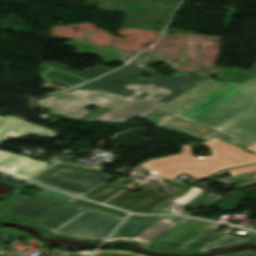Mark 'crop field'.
Listing matches in <instances>:
<instances>
[{
  "mask_svg": "<svg viewBox=\"0 0 256 256\" xmlns=\"http://www.w3.org/2000/svg\"><path fill=\"white\" fill-rule=\"evenodd\" d=\"M203 145L210 148L211 156L174 160L146 170L168 179H175L184 173L199 181L219 170L256 163V154L247 153L217 137Z\"/></svg>",
  "mask_w": 256,
  "mask_h": 256,
  "instance_id": "crop-field-3",
  "label": "crop field"
},
{
  "mask_svg": "<svg viewBox=\"0 0 256 256\" xmlns=\"http://www.w3.org/2000/svg\"><path fill=\"white\" fill-rule=\"evenodd\" d=\"M159 109L219 130L245 148L256 141V78L241 84L209 78Z\"/></svg>",
  "mask_w": 256,
  "mask_h": 256,
  "instance_id": "crop-field-2",
  "label": "crop field"
},
{
  "mask_svg": "<svg viewBox=\"0 0 256 256\" xmlns=\"http://www.w3.org/2000/svg\"><path fill=\"white\" fill-rule=\"evenodd\" d=\"M186 220H188V219L187 218H182V217H175L172 220H170L169 222H167L166 224L162 225L161 227H159L158 229L153 231L151 234H149L148 236H146L142 240L138 241V243L142 247H146L149 244H151L152 242H154L155 240H157L158 238H160L161 236H163L164 234H166L167 232L171 231L172 229H174L175 227H177L178 225H180L181 223L186 221Z\"/></svg>",
  "mask_w": 256,
  "mask_h": 256,
  "instance_id": "crop-field-13",
  "label": "crop field"
},
{
  "mask_svg": "<svg viewBox=\"0 0 256 256\" xmlns=\"http://www.w3.org/2000/svg\"><path fill=\"white\" fill-rule=\"evenodd\" d=\"M247 149L255 151L256 152V142L254 144H252L251 146H249Z\"/></svg>",
  "mask_w": 256,
  "mask_h": 256,
  "instance_id": "crop-field-28",
  "label": "crop field"
},
{
  "mask_svg": "<svg viewBox=\"0 0 256 256\" xmlns=\"http://www.w3.org/2000/svg\"><path fill=\"white\" fill-rule=\"evenodd\" d=\"M88 167L57 165L49 168L32 181L77 196H84L112 176Z\"/></svg>",
  "mask_w": 256,
  "mask_h": 256,
  "instance_id": "crop-field-6",
  "label": "crop field"
},
{
  "mask_svg": "<svg viewBox=\"0 0 256 256\" xmlns=\"http://www.w3.org/2000/svg\"><path fill=\"white\" fill-rule=\"evenodd\" d=\"M36 195L48 196V197H52V198H56V199H62V200H67V201H71V202L77 200V199H74V198H71V197H68V196H65V195H62V194L50 191V190H46V189L40 191Z\"/></svg>",
  "mask_w": 256,
  "mask_h": 256,
  "instance_id": "crop-field-22",
  "label": "crop field"
},
{
  "mask_svg": "<svg viewBox=\"0 0 256 256\" xmlns=\"http://www.w3.org/2000/svg\"><path fill=\"white\" fill-rule=\"evenodd\" d=\"M22 196L21 195H14L8 202H5V203H2L0 204V215L4 216V217H7L9 219H12V220H16V221H19V222H22V223H27V224H32V225H37L39 224L40 222H36V221H33V220H29V219H26V218H22V217H19V216H15V215H12L10 213H8L6 211V207L14 202H16L17 200H19ZM25 197V196H24ZM31 198H38V197H31ZM40 199H48V198H40ZM49 200H53V199H49ZM58 201V200H57Z\"/></svg>",
  "mask_w": 256,
  "mask_h": 256,
  "instance_id": "crop-field-16",
  "label": "crop field"
},
{
  "mask_svg": "<svg viewBox=\"0 0 256 256\" xmlns=\"http://www.w3.org/2000/svg\"><path fill=\"white\" fill-rule=\"evenodd\" d=\"M144 118H147V119H149L157 124H160L162 126H165L167 128L183 131L185 133L191 134L193 136L199 137L204 140L216 135L226 142H230L232 144H237V147L239 146L237 142L233 141L232 139H230L214 130L202 128L195 124L168 116L158 110L152 112L151 114H149L148 116H146Z\"/></svg>",
  "mask_w": 256,
  "mask_h": 256,
  "instance_id": "crop-field-10",
  "label": "crop field"
},
{
  "mask_svg": "<svg viewBox=\"0 0 256 256\" xmlns=\"http://www.w3.org/2000/svg\"><path fill=\"white\" fill-rule=\"evenodd\" d=\"M74 203H76L78 205L90 207V208H98V209H101V210H104V211H107V212H110V213H113V214H116V215H119V216H122V217L125 216L124 212L113 210V209H109V208H105L103 206H99V205H96V204H93V203H89V202H86V201H83V200H80V199H78Z\"/></svg>",
  "mask_w": 256,
  "mask_h": 256,
  "instance_id": "crop-field-21",
  "label": "crop field"
},
{
  "mask_svg": "<svg viewBox=\"0 0 256 256\" xmlns=\"http://www.w3.org/2000/svg\"><path fill=\"white\" fill-rule=\"evenodd\" d=\"M29 134L44 137L54 136L53 131L36 126L22 119L13 116L0 118V143L9 138ZM47 166H49V163L44 161L32 160L27 156L0 152V171L24 179L31 178Z\"/></svg>",
  "mask_w": 256,
  "mask_h": 256,
  "instance_id": "crop-field-5",
  "label": "crop field"
},
{
  "mask_svg": "<svg viewBox=\"0 0 256 256\" xmlns=\"http://www.w3.org/2000/svg\"><path fill=\"white\" fill-rule=\"evenodd\" d=\"M252 171H256V165L241 167V168H237V169H233V170H229V171L220 172L217 174L230 173L232 175H236V174L247 173V172H252ZM217 174H215V175H217Z\"/></svg>",
  "mask_w": 256,
  "mask_h": 256,
  "instance_id": "crop-field-23",
  "label": "crop field"
},
{
  "mask_svg": "<svg viewBox=\"0 0 256 256\" xmlns=\"http://www.w3.org/2000/svg\"><path fill=\"white\" fill-rule=\"evenodd\" d=\"M167 186L176 188L168 194L156 193L153 189L141 190L138 193L122 192L117 197L107 202L114 207L133 211L136 213H152L171 198H175L184 193L189 186L171 182Z\"/></svg>",
  "mask_w": 256,
  "mask_h": 256,
  "instance_id": "crop-field-8",
  "label": "crop field"
},
{
  "mask_svg": "<svg viewBox=\"0 0 256 256\" xmlns=\"http://www.w3.org/2000/svg\"><path fill=\"white\" fill-rule=\"evenodd\" d=\"M189 221V220H188ZM187 222V221H186ZM186 222H184V223H186ZM183 223V224H184ZM183 224H181V225H183ZM180 225V226H181ZM180 226H178V227H180ZM177 227V228H178ZM177 228H175V229H177ZM174 229V230H175ZM174 230H172V231H174ZM171 231V232H172ZM171 232H169L168 234H170ZM168 234H166V235H164L163 237H161L160 239H158L157 241H155L154 243H152L151 245H149L148 247H146V248H149V249H151V250H155V251H163V252H173V253H192V252H198L200 249H194V250H183V249H173V248H159V247H156V246H152L153 244H155L156 242H158L159 240H161L162 238H164L165 236H167Z\"/></svg>",
  "mask_w": 256,
  "mask_h": 256,
  "instance_id": "crop-field-20",
  "label": "crop field"
},
{
  "mask_svg": "<svg viewBox=\"0 0 256 256\" xmlns=\"http://www.w3.org/2000/svg\"><path fill=\"white\" fill-rule=\"evenodd\" d=\"M253 184H256V180H252V181H249V182H246L244 184H241V185H237L239 187H245V186H249V185H253Z\"/></svg>",
  "mask_w": 256,
  "mask_h": 256,
  "instance_id": "crop-field-27",
  "label": "crop field"
},
{
  "mask_svg": "<svg viewBox=\"0 0 256 256\" xmlns=\"http://www.w3.org/2000/svg\"><path fill=\"white\" fill-rule=\"evenodd\" d=\"M0 255H2V254L0 253Z\"/></svg>",
  "mask_w": 256,
  "mask_h": 256,
  "instance_id": "crop-field-30",
  "label": "crop field"
},
{
  "mask_svg": "<svg viewBox=\"0 0 256 256\" xmlns=\"http://www.w3.org/2000/svg\"><path fill=\"white\" fill-rule=\"evenodd\" d=\"M41 66L47 67L48 69L45 70L42 74H40L39 75L40 77H42L44 80L59 82L69 88H72L74 86H77L79 84L89 81L87 79H84L82 77H79L77 75L60 70L52 66H45V65H41Z\"/></svg>",
  "mask_w": 256,
  "mask_h": 256,
  "instance_id": "crop-field-12",
  "label": "crop field"
},
{
  "mask_svg": "<svg viewBox=\"0 0 256 256\" xmlns=\"http://www.w3.org/2000/svg\"><path fill=\"white\" fill-rule=\"evenodd\" d=\"M121 190L122 189L103 183L95 188L93 191L88 193L86 198L99 202H104Z\"/></svg>",
  "mask_w": 256,
  "mask_h": 256,
  "instance_id": "crop-field-15",
  "label": "crop field"
},
{
  "mask_svg": "<svg viewBox=\"0 0 256 256\" xmlns=\"http://www.w3.org/2000/svg\"><path fill=\"white\" fill-rule=\"evenodd\" d=\"M93 251L68 252L64 256H89Z\"/></svg>",
  "mask_w": 256,
  "mask_h": 256,
  "instance_id": "crop-field-24",
  "label": "crop field"
},
{
  "mask_svg": "<svg viewBox=\"0 0 256 256\" xmlns=\"http://www.w3.org/2000/svg\"><path fill=\"white\" fill-rule=\"evenodd\" d=\"M67 205L68 204L62 202L22 197L19 201L6 209L15 215L42 222Z\"/></svg>",
  "mask_w": 256,
  "mask_h": 256,
  "instance_id": "crop-field-9",
  "label": "crop field"
},
{
  "mask_svg": "<svg viewBox=\"0 0 256 256\" xmlns=\"http://www.w3.org/2000/svg\"><path fill=\"white\" fill-rule=\"evenodd\" d=\"M42 64H46V65H52V66H55V67H58V68H61L63 70H66V71H69V72H72L74 74H77L79 76H82L84 78H87L89 80L91 79H94L108 71H110L111 69H107V68H104L102 66H97L93 69H90V70H87L85 72H82V73H77L75 71H72V70H69L66 66H63L61 64H58V63H47V62H42Z\"/></svg>",
  "mask_w": 256,
  "mask_h": 256,
  "instance_id": "crop-field-17",
  "label": "crop field"
},
{
  "mask_svg": "<svg viewBox=\"0 0 256 256\" xmlns=\"http://www.w3.org/2000/svg\"><path fill=\"white\" fill-rule=\"evenodd\" d=\"M188 157H193L190 145H183V148H182L180 154L150 160V161H147L139 166L146 169L147 167L157 164V163L170 161V160H174V159H180V158H188Z\"/></svg>",
  "mask_w": 256,
  "mask_h": 256,
  "instance_id": "crop-field-18",
  "label": "crop field"
},
{
  "mask_svg": "<svg viewBox=\"0 0 256 256\" xmlns=\"http://www.w3.org/2000/svg\"><path fill=\"white\" fill-rule=\"evenodd\" d=\"M94 256H143L135 253H131L128 251H102L99 250L96 252ZM219 256H256V254H252V251H242L238 253H228Z\"/></svg>",
  "mask_w": 256,
  "mask_h": 256,
  "instance_id": "crop-field-19",
  "label": "crop field"
},
{
  "mask_svg": "<svg viewBox=\"0 0 256 256\" xmlns=\"http://www.w3.org/2000/svg\"><path fill=\"white\" fill-rule=\"evenodd\" d=\"M173 217L175 216H160L155 219L142 222L127 220L108 240L113 241L121 238H127L138 241Z\"/></svg>",
  "mask_w": 256,
  "mask_h": 256,
  "instance_id": "crop-field-11",
  "label": "crop field"
},
{
  "mask_svg": "<svg viewBox=\"0 0 256 256\" xmlns=\"http://www.w3.org/2000/svg\"><path fill=\"white\" fill-rule=\"evenodd\" d=\"M219 226L220 224L192 219L155 245L183 249L203 248L222 236L212 232Z\"/></svg>",
  "mask_w": 256,
  "mask_h": 256,
  "instance_id": "crop-field-7",
  "label": "crop field"
},
{
  "mask_svg": "<svg viewBox=\"0 0 256 256\" xmlns=\"http://www.w3.org/2000/svg\"><path fill=\"white\" fill-rule=\"evenodd\" d=\"M149 218H153V217H141V216H130V217H128V219H132V220H145V219H149Z\"/></svg>",
  "mask_w": 256,
  "mask_h": 256,
  "instance_id": "crop-field-26",
  "label": "crop field"
},
{
  "mask_svg": "<svg viewBox=\"0 0 256 256\" xmlns=\"http://www.w3.org/2000/svg\"><path fill=\"white\" fill-rule=\"evenodd\" d=\"M240 242H256V234L249 231L246 236V239L226 234L220 239H218L217 241L203 248L199 252L210 251L212 249L221 248L232 243H240Z\"/></svg>",
  "mask_w": 256,
  "mask_h": 256,
  "instance_id": "crop-field-14",
  "label": "crop field"
},
{
  "mask_svg": "<svg viewBox=\"0 0 256 256\" xmlns=\"http://www.w3.org/2000/svg\"><path fill=\"white\" fill-rule=\"evenodd\" d=\"M123 218L70 204L38 226L78 240H103Z\"/></svg>",
  "mask_w": 256,
  "mask_h": 256,
  "instance_id": "crop-field-4",
  "label": "crop field"
},
{
  "mask_svg": "<svg viewBox=\"0 0 256 256\" xmlns=\"http://www.w3.org/2000/svg\"><path fill=\"white\" fill-rule=\"evenodd\" d=\"M4 256H16V255H10V254H6V255H4Z\"/></svg>",
  "mask_w": 256,
  "mask_h": 256,
  "instance_id": "crop-field-29",
  "label": "crop field"
},
{
  "mask_svg": "<svg viewBox=\"0 0 256 256\" xmlns=\"http://www.w3.org/2000/svg\"><path fill=\"white\" fill-rule=\"evenodd\" d=\"M8 239H7V236L6 234L0 232V245L4 242H6ZM0 251L1 252H4V249L0 248Z\"/></svg>",
  "mask_w": 256,
  "mask_h": 256,
  "instance_id": "crop-field-25",
  "label": "crop field"
},
{
  "mask_svg": "<svg viewBox=\"0 0 256 256\" xmlns=\"http://www.w3.org/2000/svg\"><path fill=\"white\" fill-rule=\"evenodd\" d=\"M149 61L168 65L151 53H146L132 63L133 66L128 67L127 70L118 69L84 85L83 89L74 88L59 94L48 95L37 102L43 107L51 108L49 112L51 114L83 120H92L82 117L89 113L84 107L93 104L98 106V109L102 107L110 109L109 112L94 119L126 121L130 118L148 115L161 105L209 78L198 73L188 77L185 76V73L176 72L174 77L167 79L154 73V70L142 66ZM135 69L140 71L132 73ZM142 71L155 78L150 80L137 77Z\"/></svg>",
  "mask_w": 256,
  "mask_h": 256,
  "instance_id": "crop-field-1",
  "label": "crop field"
}]
</instances>
